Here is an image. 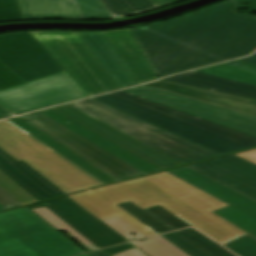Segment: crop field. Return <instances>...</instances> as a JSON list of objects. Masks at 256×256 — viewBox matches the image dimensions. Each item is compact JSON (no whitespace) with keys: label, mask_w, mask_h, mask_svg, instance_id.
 Returning <instances> with one entry per match:
<instances>
[{"label":"crop field","mask_w":256,"mask_h":256,"mask_svg":"<svg viewBox=\"0 0 256 256\" xmlns=\"http://www.w3.org/2000/svg\"><path fill=\"white\" fill-rule=\"evenodd\" d=\"M84 253L27 207L0 213V256H72Z\"/></svg>","instance_id":"4"},{"label":"crop field","mask_w":256,"mask_h":256,"mask_svg":"<svg viewBox=\"0 0 256 256\" xmlns=\"http://www.w3.org/2000/svg\"><path fill=\"white\" fill-rule=\"evenodd\" d=\"M240 60H243V61H246V62H249V63L256 64V54H255L253 57L245 58V59H240Z\"/></svg>","instance_id":"46"},{"label":"crop field","mask_w":256,"mask_h":256,"mask_svg":"<svg viewBox=\"0 0 256 256\" xmlns=\"http://www.w3.org/2000/svg\"><path fill=\"white\" fill-rule=\"evenodd\" d=\"M82 256H88V255L86 254V255H82Z\"/></svg>","instance_id":"50"},{"label":"crop field","mask_w":256,"mask_h":256,"mask_svg":"<svg viewBox=\"0 0 256 256\" xmlns=\"http://www.w3.org/2000/svg\"><path fill=\"white\" fill-rule=\"evenodd\" d=\"M235 155L256 164V149L251 150V151H247V152H243V153H239V154H235Z\"/></svg>","instance_id":"42"},{"label":"crop field","mask_w":256,"mask_h":256,"mask_svg":"<svg viewBox=\"0 0 256 256\" xmlns=\"http://www.w3.org/2000/svg\"><path fill=\"white\" fill-rule=\"evenodd\" d=\"M66 199H70V197L67 196V197H63V198H59V199L43 202V204L46 205V204H50V203H54V202H58V201L66 200Z\"/></svg>","instance_id":"45"},{"label":"crop field","mask_w":256,"mask_h":256,"mask_svg":"<svg viewBox=\"0 0 256 256\" xmlns=\"http://www.w3.org/2000/svg\"><path fill=\"white\" fill-rule=\"evenodd\" d=\"M198 71L256 85V67L236 61Z\"/></svg>","instance_id":"26"},{"label":"crop field","mask_w":256,"mask_h":256,"mask_svg":"<svg viewBox=\"0 0 256 256\" xmlns=\"http://www.w3.org/2000/svg\"><path fill=\"white\" fill-rule=\"evenodd\" d=\"M8 120L25 132H27L28 134H30L31 136H33L34 138H36L37 140H39L40 142H42L43 144H45L46 146H48L49 148H51L52 150L56 151L57 153L77 165L78 167H80L81 169H83L84 171H86L87 173H89L90 175H92L93 177H95L96 179H98L99 181H101L102 183L106 184L118 181L114 177L110 176L103 170L91 164L84 158L80 157L76 153L72 152L65 146L61 145L57 141L53 140L52 138L45 135L41 131L26 123L25 121L21 120L20 118L16 117Z\"/></svg>","instance_id":"24"},{"label":"crop field","mask_w":256,"mask_h":256,"mask_svg":"<svg viewBox=\"0 0 256 256\" xmlns=\"http://www.w3.org/2000/svg\"><path fill=\"white\" fill-rule=\"evenodd\" d=\"M68 105L184 165L222 156L94 99Z\"/></svg>","instance_id":"3"},{"label":"crop field","mask_w":256,"mask_h":256,"mask_svg":"<svg viewBox=\"0 0 256 256\" xmlns=\"http://www.w3.org/2000/svg\"><path fill=\"white\" fill-rule=\"evenodd\" d=\"M0 186L23 205L36 202L30 195L0 172Z\"/></svg>","instance_id":"34"},{"label":"crop field","mask_w":256,"mask_h":256,"mask_svg":"<svg viewBox=\"0 0 256 256\" xmlns=\"http://www.w3.org/2000/svg\"><path fill=\"white\" fill-rule=\"evenodd\" d=\"M21 20L23 19L16 0H0V22Z\"/></svg>","instance_id":"35"},{"label":"crop field","mask_w":256,"mask_h":256,"mask_svg":"<svg viewBox=\"0 0 256 256\" xmlns=\"http://www.w3.org/2000/svg\"><path fill=\"white\" fill-rule=\"evenodd\" d=\"M163 237L190 256H211L177 232L163 235Z\"/></svg>","instance_id":"33"},{"label":"crop field","mask_w":256,"mask_h":256,"mask_svg":"<svg viewBox=\"0 0 256 256\" xmlns=\"http://www.w3.org/2000/svg\"><path fill=\"white\" fill-rule=\"evenodd\" d=\"M143 86L256 117V100L163 81Z\"/></svg>","instance_id":"19"},{"label":"crop field","mask_w":256,"mask_h":256,"mask_svg":"<svg viewBox=\"0 0 256 256\" xmlns=\"http://www.w3.org/2000/svg\"><path fill=\"white\" fill-rule=\"evenodd\" d=\"M125 183L221 244L246 234L211 213L227 204L166 172Z\"/></svg>","instance_id":"2"},{"label":"crop field","mask_w":256,"mask_h":256,"mask_svg":"<svg viewBox=\"0 0 256 256\" xmlns=\"http://www.w3.org/2000/svg\"><path fill=\"white\" fill-rule=\"evenodd\" d=\"M139 84L157 80L129 29L105 32Z\"/></svg>","instance_id":"22"},{"label":"crop field","mask_w":256,"mask_h":256,"mask_svg":"<svg viewBox=\"0 0 256 256\" xmlns=\"http://www.w3.org/2000/svg\"><path fill=\"white\" fill-rule=\"evenodd\" d=\"M109 96L102 95L94 97V99L103 102L107 105H110L116 109H119L125 113H128L132 116L140 118L144 121H147L151 124H154L158 127L173 132L179 136L189 139L195 143H198L204 147H207L223 155L246 149L233 143L227 142L225 140L219 139L217 137L211 136L209 134L194 130L192 128L176 123L174 121H171L169 119L158 116L156 114L145 111L143 109H140L138 107L127 104L125 102H122Z\"/></svg>","instance_id":"14"},{"label":"crop field","mask_w":256,"mask_h":256,"mask_svg":"<svg viewBox=\"0 0 256 256\" xmlns=\"http://www.w3.org/2000/svg\"><path fill=\"white\" fill-rule=\"evenodd\" d=\"M153 1L156 2L160 7H162V6L170 5L183 0H153Z\"/></svg>","instance_id":"43"},{"label":"crop field","mask_w":256,"mask_h":256,"mask_svg":"<svg viewBox=\"0 0 256 256\" xmlns=\"http://www.w3.org/2000/svg\"><path fill=\"white\" fill-rule=\"evenodd\" d=\"M224 246L240 256H256V238L249 234Z\"/></svg>","instance_id":"32"},{"label":"crop field","mask_w":256,"mask_h":256,"mask_svg":"<svg viewBox=\"0 0 256 256\" xmlns=\"http://www.w3.org/2000/svg\"><path fill=\"white\" fill-rule=\"evenodd\" d=\"M110 187L117 191L118 193H120L121 195H123L124 197L132 200L134 203H136L143 209L158 205L151 199L147 198L143 194L139 193L138 191L124 183L111 185Z\"/></svg>","instance_id":"31"},{"label":"crop field","mask_w":256,"mask_h":256,"mask_svg":"<svg viewBox=\"0 0 256 256\" xmlns=\"http://www.w3.org/2000/svg\"><path fill=\"white\" fill-rule=\"evenodd\" d=\"M145 210L150 214H152L153 216H155L156 218H158L159 220H161L162 222H164L165 224H167L168 226H170L174 230L188 227V225L181 222L180 220L175 218L173 215H171L170 213H168L167 211H165L164 209L158 206L145 209Z\"/></svg>","instance_id":"37"},{"label":"crop field","mask_w":256,"mask_h":256,"mask_svg":"<svg viewBox=\"0 0 256 256\" xmlns=\"http://www.w3.org/2000/svg\"><path fill=\"white\" fill-rule=\"evenodd\" d=\"M190 167L256 200L255 164L231 155Z\"/></svg>","instance_id":"17"},{"label":"crop field","mask_w":256,"mask_h":256,"mask_svg":"<svg viewBox=\"0 0 256 256\" xmlns=\"http://www.w3.org/2000/svg\"><path fill=\"white\" fill-rule=\"evenodd\" d=\"M89 97L67 73H61L0 91V105L14 114Z\"/></svg>","instance_id":"7"},{"label":"crop field","mask_w":256,"mask_h":256,"mask_svg":"<svg viewBox=\"0 0 256 256\" xmlns=\"http://www.w3.org/2000/svg\"><path fill=\"white\" fill-rule=\"evenodd\" d=\"M1 210H5V208L0 205V211H1Z\"/></svg>","instance_id":"49"},{"label":"crop field","mask_w":256,"mask_h":256,"mask_svg":"<svg viewBox=\"0 0 256 256\" xmlns=\"http://www.w3.org/2000/svg\"><path fill=\"white\" fill-rule=\"evenodd\" d=\"M168 173L229 204L230 206L213 213L256 237V201L188 166Z\"/></svg>","instance_id":"10"},{"label":"crop field","mask_w":256,"mask_h":256,"mask_svg":"<svg viewBox=\"0 0 256 256\" xmlns=\"http://www.w3.org/2000/svg\"><path fill=\"white\" fill-rule=\"evenodd\" d=\"M112 97L133 104L145 110L164 116L202 132L209 133L246 148L256 146V137L236 131L234 129L210 122L208 120L187 114L185 112L161 105L159 103L120 91L108 94Z\"/></svg>","instance_id":"13"},{"label":"crop field","mask_w":256,"mask_h":256,"mask_svg":"<svg viewBox=\"0 0 256 256\" xmlns=\"http://www.w3.org/2000/svg\"><path fill=\"white\" fill-rule=\"evenodd\" d=\"M31 33L90 96L121 88L76 32Z\"/></svg>","instance_id":"6"},{"label":"crop field","mask_w":256,"mask_h":256,"mask_svg":"<svg viewBox=\"0 0 256 256\" xmlns=\"http://www.w3.org/2000/svg\"><path fill=\"white\" fill-rule=\"evenodd\" d=\"M240 1L249 2L252 5L250 10L256 11V0H240Z\"/></svg>","instance_id":"44"},{"label":"crop field","mask_w":256,"mask_h":256,"mask_svg":"<svg viewBox=\"0 0 256 256\" xmlns=\"http://www.w3.org/2000/svg\"><path fill=\"white\" fill-rule=\"evenodd\" d=\"M163 81L256 99V86L197 71L166 78Z\"/></svg>","instance_id":"23"},{"label":"crop field","mask_w":256,"mask_h":256,"mask_svg":"<svg viewBox=\"0 0 256 256\" xmlns=\"http://www.w3.org/2000/svg\"><path fill=\"white\" fill-rule=\"evenodd\" d=\"M46 207L99 249L127 242L125 238L72 199L46 205Z\"/></svg>","instance_id":"15"},{"label":"crop field","mask_w":256,"mask_h":256,"mask_svg":"<svg viewBox=\"0 0 256 256\" xmlns=\"http://www.w3.org/2000/svg\"><path fill=\"white\" fill-rule=\"evenodd\" d=\"M0 148L24 160L65 194L103 185L9 121L0 122Z\"/></svg>","instance_id":"5"},{"label":"crop field","mask_w":256,"mask_h":256,"mask_svg":"<svg viewBox=\"0 0 256 256\" xmlns=\"http://www.w3.org/2000/svg\"><path fill=\"white\" fill-rule=\"evenodd\" d=\"M8 116H12V115L6 112L5 110H3L2 108H0V118H4Z\"/></svg>","instance_id":"47"},{"label":"crop field","mask_w":256,"mask_h":256,"mask_svg":"<svg viewBox=\"0 0 256 256\" xmlns=\"http://www.w3.org/2000/svg\"><path fill=\"white\" fill-rule=\"evenodd\" d=\"M77 33L122 88L138 84L104 32Z\"/></svg>","instance_id":"21"},{"label":"crop field","mask_w":256,"mask_h":256,"mask_svg":"<svg viewBox=\"0 0 256 256\" xmlns=\"http://www.w3.org/2000/svg\"><path fill=\"white\" fill-rule=\"evenodd\" d=\"M114 18L137 15L160 7L152 0H101Z\"/></svg>","instance_id":"27"},{"label":"crop field","mask_w":256,"mask_h":256,"mask_svg":"<svg viewBox=\"0 0 256 256\" xmlns=\"http://www.w3.org/2000/svg\"><path fill=\"white\" fill-rule=\"evenodd\" d=\"M0 204L4 206L6 209L21 206L17 200H15L11 195H9L6 191H4L0 187Z\"/></svg>","instance_id":"39"},{"label":"crop field","mask_w":256,"mask_h":256,"mask_svg":"<svg viewBox=\"0 0 256 256\" xmlns=\"http://www.w3.org/2000/svg\"><path fill=\"white\" fill-rule=\"evenodd\" d=\"M82 127L112 141L162 170L182 165L181 163L129 138L128 136L64 105L51 108Z\"/></svg>","instance_id":"16"},{"label":"crop field","mask_w":256,"mask_h":256,"mask_svg":"<svg viewBox=\"0 0 256 256\" xmlns=\"http://www.w3.org/2000/svg\"><path fill=\"white\" fill-rule=\"evenodd\" d=\"M212 256H235L193 228L178 231Z\"/></svg>","instance_id":"29"},{"label":"crop field","mask_w":256,"mask_h":256,"mask_svg":"<svg viewBox=\"0 0 256 256\" xmlns=\"http://www.w3.org/2000/svg\"><path fill=\"white\" fill-rule=\"evenodd\" d=\"M0 171L37 201L63 195L59 189L24 161L18 163L0 149Z\"/></svg>","instance_id":"20"},{"label":"crop field","mask_w":256,"mask_h":256,"mask_svg":"<svg viewBox=\"0 0 256 256\" xmlns=\"http://www.w3.org/2000/svg\"><path fill=\"white\" fill-rule=\"evenodd\" d=\"M119 205L159 234L173 231L167 225H165L164 223H162L161 221H159L158 219H156L155 217H153L152 215L138 207L132 201L129 203Z\"/></svg>","instance_id":"30"},{"label":"crop field","mask_w":256,"mask_h":256,"mask_svg":"<svg viewBox=\"0 0 256 256\" xmlns=\"http://www.w3.org/2000/svg\"><path fill=\"white\" fill-rule=\"evenodd\" d=\"M131 248H135L132 244L128 243V244H124V245H120L117 247H113L110 249H106V250H102L105 254L110 255V254H114L123 250H127V249H131Z\"/></svg>","instance_id":"40"},{"label":"crop field","mask_w":256,"mask_h":256,"mask_svg":"<svg viewBox=\"0 0 256 256\" xmlns=\"http://www.w3.org/2000/svg\"><path fill=\"white\" fill-rule=\"evenodd\" d=\"M20 118L119 180L144 175L130 164L41 112L20 116Z\"/></svg>","instance_id":"8"},{"label":"crop field","mask_w":256,"mask_h":256,"mask_svg":"<svg viewBox=\"0 0 256 256\" xmlns=\"http://www.w3.org/2000/svg\"><path fill=\"white\" fill-rule=\"evenodd\" d=\"M116 192L107 186L70 197L101 220L118 216L147 237L157 235L155 231L117 205L129 200Z\"/></svg>","instance_id":"18"},{"label":"crop field","mask_w":256,"mask_h":256,"mask_svg":"<svg viewBox=\"0 0 256 256\" xmlns=\"http://www.w3.org/2000/svg\"><path fill=\"white\" fill-rule=\"evenodd\" d=\"M25 83L0 62V90Z\"/></svg>","instance_id":"38"},{"label":"crop field","mask_w":256,"mask_h":256,"mask_svg":"<svg viewBox=\"0 0 256 256\" xmlns=\"http://www.w3.org/2000/svg\"><path fill=\"white\" fill-rule=\"evenodd\" d=\"M139 249L149 256H188L180 249L175 247L162 236L146 239L145 242H134Z\"/></svg>","instance_id":"28"},{"label":"crop field","mask_w":256,"mask_h":256,"mask_svg":"<svg viewBox=\"0 0 256 256\" xmlns=\"http://www.w3.org/2000/svg\"><path fill=\"white\" fill-rule=\"evenodd\" d=\"M0 61L26 82L65 72L30 32L1 35Z\"/></svg>","instance_id":"9"},{"label":"crop field","mask_w":256,"mask_h":256,"mask_svg":"<svg viewBox=\"0 0 256 256\" xmlns=\"http://www.w3.org/2000/svg\"><path fill=\"white\" fill-rule=\"evenodd\" d=\"M50 117L54 118L55 120L59 121L60 123L64 124L65 126L69 127L70 129L76 131L77 133L81 134L82 136L86 137L87 139L91 140L92 142L96 143L97 145L103 147L104 149L108 150L109 152L113 153L114 155L118 156L119 158L123 159L124 161L130 163L131 165L135 166L139 170L143 171L144 173H152L161 171L157 167L145 162L144 160L140 159L139 157L125 151L124 149L118 147L117 145L101 138L100 136L82 128L81 126L73 123L72 121L66 119L65 117L57 114L56 112L47 109L41 111Z\"/></svg>","instance_id":"25"},{"label":"crop field","mask_w":256,"mask_h":256,"mask_svg":"<svg viewBox=\"0 0 256 256\" xmlns=\"http://www.w3.org/2000/svg\"><path fill=\"white\" fill-rule=\"evenodd\" d=\"M23 19L103 20L112 15L100 0H17Z\"/></svg>","instance_id":"12"},{"label":"crop field","mask_w":256,"mask_h":256,"mask_svg":"<svg viewBox=\"0 0 256 256\" xmlns=\"http://www.w3.org/2000/svg\"><path fill=\"white\" fill-rule=\"evenodd\" d=\"M88 255H90V256H107V255H105V254H104L103 252H101V251L89 253Z\"/></svg>","instance_id":"48"},{"label":"crop field","mask_w":256,"mask_h":256,"mask_svg":"<svg viewBox=\"0 0 256 256\" xmlns=\"http://www.w3.org/2000/svg\"><path fill=\"white\" fill-rule=\"evenodd\" d=\"M227 0L180 18L130 29L157 77L251 54L256 17Z\"/></svg>","instance_id":"1"},{"label":"crop field","mask_w":256,"mask_h":256,"mask_svg":"<svg viewBox=\"0 0 256 256\" xmlns=\"http://www.w3.org/2000/svg\"><path fill=\"white\" fill-rule=\"evenodd\" d=\"M104 222L108 224L110 227H112L114 230H116L118 233H120L122 236H124L126 239H128L129 241H131L130 238H134L136 240L146 238L144 235H142L140 232L132 228L130 225H128L118 217L104 220ZM131 234H134L138 237L135 238Z\"/></svg>","instance_id":"36"},{"label":"crop field","mask_w":256,"mask_h":256,"mask_svg":"<svg viewBox=\"0 0 256 256\" xmlns=\"http://www.w3.org/2000/svg\"><path fill=\"white\" fill-rule=\"evenodd\" d=\"M124 91L256 136V118L254 117L143 86Z\"/></svg>","instance_id":"11"},{"label":"crop field","mask_w":256,"mask_h":256,"mask_svg":"<svg viewBox=\"0 0 256 256\" xmlns=\"http://www.w3.org/2000/svg\"><path fill=\"white\" fill-rule=\"evenodd\" d=\"M112 256H147V255L143 253L141 250H139L138 248H135V249L123 251L119 254H115Z\"/></svg>","instance_id":"41"}]
</instances>
